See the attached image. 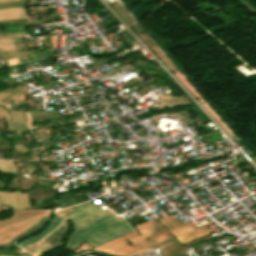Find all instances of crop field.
I'll return each mask as SVG.
<instances>
[{"mask_svg": "<svg viewBox=\"0 0 256 256\" xmlns=\"http://www.w3.org/2000/svg\"><path fill=\"white\" fill-rule=\"evenodd\" d=\"M73 209L72 212L65 216L66 218L73 219L76 225V230L71 235L66 245V247L71 250L85 240L97 247L135 232L126 220L118 222L113 216L92 201ZM158 220L164 224L168 230L163 228L157 220L149 221L135 226L141 235L135 232L99 246L94 250L120 256H128L160 240L171 237L169 232L175 235L182 244L211 233L204 227L211 222L198 227L192 222L182 224L173 216L160 218ZM193 227H196V229H193ZM123 232H126V234ZM127 238L134 246L125 240ZM147 239H150V241H147ZM74 243L75 246L72 245Z\"/></svg>", "mask_w": 256, "mask_h": 256, "instance_id": "crop-field-1", "label": "crop field"}, {"mask_svg": "<svg viewBox=\"0 0 256 256\" xmlns=\"http://www.w3.org/2000/svg\"><path fill=\"white\" fill-rule=\"evenodd\" d=\"M53 194H54L53 191H51L50 189L38 184L35 189H33V190H31L30 192L27 193V196L48 205L51 201H53V200L55 201V199L53 197ZM29 197H28V199H29L30 206H33L35 204L40 203V202L35 201V200H33ZM82 197L84 198L85 201L90 200V198L86 194L82 195ZM82 197L75 194V193H72V192H66L65 194H63L59 198L64 202V204L66 206H68V205H71V204H74V203H77V202L84 201L82 199ZM42 203H40L38 205H35L33 207H29L27 209H40L41 207L46 206Z\"/></svg>", "mask_w": 256, "mask_h": 256, "instance_id": "crop-field-2", "label": "crop field"}, {"mask_svg": "<svg viewBox=\"0 0 256 256\" xmlns=\"http://www.w3.org/2000/svg\"><path fill=\"white\" fill-rule=\"evenodd\" d=\"M0 112L4 115V117L7 121V125H8L9 130H12V128H13V130H28L26 121L25 122L23 121V120L26 119L25 113H23V112H11L12 128H10V124H9V120L11 119L10 115L2 107H0Z\"/></svg>", "mask_w": 256, "mask_h": 256, "instance_id": "crop-field-3", "label": "crop field"}, {"mask_svg": "<svg viewBox=\"0 0 256 256\" xmlns=\"http://www.w3.org/2000/svg\"><path fill=\"white\" fill-rule=\"evenodd\" d=\"M17 195H18V201H19L20 209H25L24 201H25L26 208L29 207L26 194H23L24 201H23L22 193H17ZM10 196H11V202H12L13 208L14 209H19L16 193H10ZM10 196H9V193L0 192L1 202L4 203V204L11 205Z\"/></svg>", "mask_w": 256, "mask_h": 256, "instance_id": "crop-field-4", "label": "crop field"}, {"mask_svg": "<svg viewBox=\"0 0 256 256\" xmlns=\"http://www.w3.org/2000/svg\"><path fill=\"white\" fill-rule=\"evenodd\" d=\"M43 50H44V54H45V58L46 59L54 57L53 52L47 51V49H43ZM43 50L42 49H40V50H32L33 56L19 58L20 63L27 62L29 60L45 59L44 58V54H43ZM6 61H7L8 65H14V64H18L19 63L18 58L11 59V60H6Z\"/></svg>", "mask_w": 256, "mask_h": 256, "instance_id": "crop-field-5", "label": "crop field"}, {"mask_svg": "<svg viewBox=\"0 0 256 256\" xmlns=\"http://www.w3.org/2000/svg\"><path fill=\"white\" fill-rule=\"evenodd\" d=\"M62 221H63L62 218H58V217H57L56 219H54L53 221H51V223L48 224L46 230H45L44 232L42 231L43 233H41L39 236L34 237V238L30 239V240L23 241V242H21L20 244H18L17 246L23 248V247H25V246H27V245H30V244H32V243H34V242H37V241L43 239V238L46 237L51 231H53L54 229H56L57 227H59Z\"/></svg>", "mask_w": 256, "mask_h": 256, "instance_id": "crop-field-6", "label": "crop field"}, {"mask_svg": "<svg viewBox=\"0 0 256 256\" xmlns=\"http://www.w3.org/2000/svg\"><path fill=\"white\" fill-rule=\"evenodd\" d=\"M140 38L147 44V46L161 59V61L171 70L175 71V67L168 62V60L163 56V54L158 50V48L153 44V42L145 35L144 32L138 34Z\"/></svg>", "mask_w": 256, "mask_h": 256, "instance_id": "crop-field-7", "label": "crop field"}, {"mask_svg": "<svg viewBox=\"0 0 256 256\" xmlns=\"http://www.w3.org/2000/svg\"><path fill=\"white\" fill-rule=\"evenodd\" d=\"M27 17L24 7L0 10V20Z\"/></svg>", "mask_w": 256, "mask_h": 256, "instance_id": "crop-field-8", "label": "crop field"}, {"mask_svg": "<svg viewBox=\"0 0 256 256\" xmlns=\"http://www.w3.org/2000/svg\"><path fill=\"white\" fill-rule=\"evenodd\" d=\"M48 215H49V213L44 214L43 217H42V219H41L39 222H37L36 224H34L32 227H30L29 229H27V230L24 231L23 233L21 232L22 234H20L19 236H17L14 240H17V239H19V238H22V237H24V236H27V235H29V234H32V233L38 231L39 229H41L42 226L44 225V223H45V221H46ZM14 240H13V241H14ZM11 242H12V241H11ZM8 246H11V243H10V242H8V243H6V244H3V245H0V247L2 248V250L5 249V248L8 247Z\"/></svg>", "mask_w": 256, "mask_h": 256, "instance_id": "crop-field-9", "label": "crop field"}, {"mask_svg": "<svg viewBox=\"0 0 256 256\" xmlns=\"http://www.w3.org/2000/svg\"><path fill=\"white\" fill-rule=\"evenodd\" d=\"M65 230H66L65 227L62 228L61 230H59L55 234H53V235L49 236L48 238H46L45 241H47L48 243H50L53 246L59 244L60 237L64 233ZM57 236H59V238H57Z\"/></svg>", "mask_w": 256, "mask_h": 256, "instance_id": "crop-field-10", "label": "crop field"}, {"mask_svg": "<svg viewBox=\"0 0 256 256\" xmlns=\"http://www.w3.org/2000/svg\"><path fill=\"white\" fill-rule=\"evenodd\" d=\"M0 48L7 49L10 51H15L14 39H4L0 40Z\"/></svg>", "mask_w": 256, "mask_h": 256, "instance_id": "crop-field-11", "label": "crop field"}, {"mask_svg": "<svg viewBox=\"0 0 256 256\" xmlns=\"http://www.w3.org/2000/svg\"><path fill=\"white\" fill-rule=\"evenodd\" d=\"M0 171L14 172L15 168L12 161L0 160Z\"/></svg>", "mask_w": 256, "mask_h": 256, "instance_id": "crop-field-12", "label": "crop field"}, {"mask_svg": "<svg viewBox=\"0 0 256 256\" xmlns=\"http://www.w3.org/2000/svg\"><path fill=\"white\" fill-rule=\"evenodd\" d=\"M5 53H6V59L16 58L18 56L21 57V56L32 55L31 50L17 52L18 56L16 52L5 51Z\"/></svg>", "mask_w": 256, "mask_h": 256, "instance_id": "crop-field-13", "label": "crop field"}, {"mask_svg": "<svg viewBox=\"0 0 256 256\" xmlns=\"http://www.w3.org/2000/svg\"><path fill=\"white\" fill-rule=\"evenodd\" d=\"M55 111V110H51ZM28 112H50V111H28ZM29 115H57L56 112H50V113H28ZM33 117H41V118H47V119H54L58 118L57 116H33Z\"/></svg>", "mask_w": 256, "mask_h": 256, "instance_id": "crop-field-14", "label": "crop field"}, {"mask_svg": "<svg viewBox=\"0 0 256 256\" xmlns=\"http://www.w3.org/2000/svg\"><path fill=\"white\" fill-rule=\"evenodd\" d=\"M17 152H20V153H27V152H30L31 150L34 151V150H38L40 148H42L43 146L39 145V146H36V147H29L31 150H29L28 148L24 147L22 144L20 145H16V146H13Z\"/></svg>", "mask_w": 256, "mask_h": 256, "instance_id": "crop-field-15", "label": "crop field"}, {"mask_svg": "<svg viewBox=\"0 0 256 256\" xmlns=\"http://www.w3.org/2000/svg\"><path fill=\"white\" fill-rule=\"evenodd\" d=\"M3 30H25L23 26H5L1 25Z\"/></svg>", "mask_w": 256, "mask_h": 256, "instance_id": "crop-field-16", "label": "crop field"}, {"mask_svg": "<svg viewBox=\"0 0 256 256\" xmlns=\"http://www.w3.org/2000/svg\"><path fill=\"white\" fill-rule=\"evenodd\" d=\"M31 163H32V165H33V167H34V169H35L37 175L42 176V174H41V172H40V170H39V168H38V165H37L36 161H31ZM42 177H43V176H42Z\"/></svg>", "mask_w": 256, "mask_h": 256, "instance_id": "crop-field-17", "label": "crop field"}, {"mask_svg": "<svg viewBox=\"0 0 256 256\" xmlns=\"http://www.w3.org/2000/svg\"><path fill=\"white\" fill-rule=\"evenodd\" d=\"M74 118H71V119H63V120H50L49 123H52V122H74Z\"/></svg>", "mask_w": 256, "mask_h": 256, "instance_id": "crop-field-18", "label": "crop field"}, {"mask_svg": "<svg viewBox=\"0 0 256 256\" xmlns=\"http://www.w3.org/2000/svg\"><path fill=\"white\" fill-rule=\"evenodd\" d=\"M22 35H27V34H16V35L0 36V39L9 38V37H14V36H22Z\"/></svg>", "mask_w": 256, "mask_h": 256, "instance_id": "crop-field-19", "label": "crop field"}, {"mask_svg": "<svg viewBox=\"0 0 256 256\" xmlns=\"http://www.w3.org/2000/svg\"><path fill=\"white\" fill-rule=\"evenodd\" d=\"M20 2H24V1H17V3H20ZM7 3H12V2H7ZM0 4H2V3H0ZM21 4H23V3H21ZM2 5H4V4H2ZM12 5H20V4H11V5H4V6H12ZM8 8H12V7H8ZM0 9H3V8H0Z\"/></svg>", "mask_w": 256, "mask_h": 256, "instance_id": "crop-field-20", "label": "crop field"}, {"mask_svg": "<svg viewBox=\"0 0 256 256\" xmlns=\"http://www.w3.org/2000/svg\"><path fill=\"white\" fill-rule=\"evenodd\" d=\"M23 165H25V166H27V167H29L30 165H31V163H30V161H26L25 163H22ZM31 167H32V165H31ZM33 168V167H32Z\"/></svg>", "mask_w": 256, "mask_h": 256, "instance_id": "crop-field-21", "label": "crop field"}, {"mask_svg": "<svg viewBox=\"0 0 256 256\" xmlns=\"http://www.w3.org/2000/svg\"><path fill=\"white\" fill-rule=\"evenodd\" d=\"M17 33H27L26 31H21V32H17Z\"/></svg>", "mask_w": 256, "mask_h": 256, "instance_id": "crop-field-22", "label": "crop field"}, {"mask_svg": "<svg viewBox=\"0 0 256 256\" xmlns=\"http://www.w3.org/2000/svg\"><path fill=\"white\" fill-rule=\"evenodd\" d=\"M2 1H12V0H0V2H2Z\"/></svg>", "mask_w": 256, "mask_h": 256, "instance_id": "crop-field-23", "label": "crop field"}, {"mask_svg": "<svg viewBox=\"0 0 256 256\" xmlns=\"http://www.w3.org/2000/svg\"><path fill=\"white\" fill-rule=\"evenodd\" d=\"M1 51V50H0ZM0 53H3V52H0ZM0 58H4V56H0Z\"/></svg>", "mask_w": 256, "mask_h": 256, "instance_id": "crop-field-24", "label": "crop field"}]
</instances>
